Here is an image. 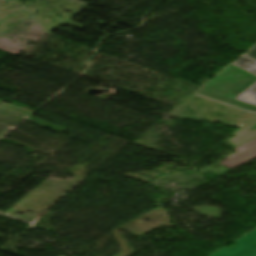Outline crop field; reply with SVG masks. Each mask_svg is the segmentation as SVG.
Returning a JSON list of instances; mask_svg holds the SVG:
<instances>
[{"mask_svg":"<svg viewBox=\"0 0 256 256\" xmlns=\"http://www.w3.org/2000/svg\"><path fill=\"white\" fill-rule=\"evenodd\" d=\"M233 243V248H222L210 256H256V229Z\"/></svg>","mask_w":256,"mask_h":256,"instance_id":"crop-field-1","label":"crop field"},{"mask_svg":"<svg viewBox=\"0 0 256 256\" xmlns=\"http://www.w3.org/2000/svg\"><path fill=\"white\" fill-rule=\"evenodd\" d=\"M235 150L237 151L236 154L226 158L225 161L220 163L230 170L256 157V139Z\"/></svg>","mask_w":256,"mask_h":256,"instance_id":"crop-field-2","label":"crop field"},{"mask_svg":"<svg viewBox=\"0 0 256 256\" xmlns=\"http://www.w3.org/2000/svg\"><path fill=\"white\" fill-rule=\"evenodd\" d=\"M233 64L256 74V61L242 55ZM237 99L256 105V84L241 94Z\"/></svg>","mask_w":256,"mask_h":256,"instance_id":"crop-field-3","label":"crop field"},{"mask_svg":"<svg viewBox=\"0 0 256 256\" xmlns=\"http://www.w3.org/2000/svg\"><path fill=\"white\" fill-rule=\"evenodd\" d=\"M255 123H256V118L252 120L250 123H248L246 126L241 128L240 130H238L236 133H234L235 136L227 141L236 147L252 139L253 137L256 136V128L252 131H250L249 129L252 128Z\"/></svg>","mask_w":256,"mask_h":256,"instance_id":"crop-field-4","label":"crop field"},{"mask_svg":"<svg viewBox=\"0 0 256 256\" xmlns=\"http://www.w3.org/2000/svg\"><path fill=\"white\" fill-rule=\"evenodd\" d=\"M244 55L256 60V44L252 46L250 49H248Z\"/></svg>","mask_w":256,"mask_h":256,"instance_id":"crop-field-5","label":"crop field"}]
</instances>
